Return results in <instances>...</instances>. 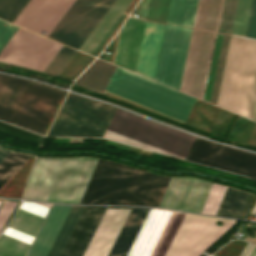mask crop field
<instances>
[{
	"mask_svg": "<svg viewBox=\"0 0 256 256\" xmlns=\"http://www.w3.org/2000/svg\"><path fill=\"white\" fill-rule=\"evenodd\" d=\"M246 37L256 38V0L253 1Z\"/></svg>",
	"mask_w": 256,
	"mask_h": 256,
	"instance_id": "c21b1889",
	"label": "crop field"
},
{
	"mask_svg": "<svg viewBox=\"0 0 256 256\" xmlns=\"http://www.w3.org/2000/svg\"><path fill=\"white\" fill-rule=\"evenodd\" d=\"M183 215L150 209L127 256H163Z\"/></svg>",
	"mask_w": 256,
	"mask_h": 256,
	"instance_id": "28ad6ade",
	"label": "crop field"
},
{
	"mask_svg": "<svg viewBox=\"0 0 256 256\" xmlns=\"http://www.w3.org/2000/svg\"><path fill=\"white\" fill-rule=\"evenodd\" d=\"M106 209L107 207L84 206L60 256H83ZM129 212L130 210L107 209L84 256H108Z\"/></svg>",
	"mask_w": 256,
	"mask_h": 256,
	"instance_id": "f4fd0767",
	"label": "crop field"
},
{
	"mask_svg": "<svg viewBox=\"0 0 256 256\" xmlns=\"http://www.w3.org/2000/svg\"><path fill=\"white\" fill-rule=\"evenodd\" d=\"M165 24L146 21L136 72L153 80Z\"/></svg>",
	"mask_w": 256,
	"mask_h": 256,
	"instance_id": "214f88e0",
	"label": "crop field"
},
{
	"mask_svg": "<svg viewBox=\"0 0 256 256\" xmlns=\"http://www.w3.org/2000/svg\"><path fill=\"white\" fill-rule=\"evenodd\" d=\"M83 206H72L48 256H58L64 246Z\"/></svg>",
	"mask_w": 256,
	"mask_h": 256,
	"instance_id": "bd1437ed",
	"label": "crop field"
},
{
	"mask_svg": "<svg viewBox=\"0 0 256 256\" xmlns=\"http://www.w3.org/2000/svg\"><path fill=\"white\" fill-rule=\"evenodd\" d=\"M223 0H199L193 27L218 30Z\"/></svg>",
	"mask_w": 256,
	"mask_h": 256,
	"instance_id": "eef30255",
	"label": "crop field"
},
{
	"mask_svg": "<svg viewBox=\"0 0 256 256\" xmlns=\"http://www.w3.org/2000/svg\"><path fill=\"white\" fill-rule=\"evenodd\" d=\"M198 0H171L166 22L192 27Z\"/></svg>",
	"mask_w": 256,
	"mask_h": 256,
	"instance_id": "ae1a2a85",
	"label": "crop field"
},
{
	"mask_svg": "<svg viewBox=\"0 0 256 256\" xmlns=\"http://www.w3.org/2000/svg\"><path fill=\"white\" fill-rule=\"evenodd\" d=\"M52 204L22 201L0 236V256H26Z\"/></svg>",
	"mask_w": 256,
	"mask_h": 256,
	"instance_id": "3316defc",
	"label": "crop field"
},
{
	"mask_svg": "<svg viewBox=\"0 0 256 256\" xmlns=\"http://www.w3.org/2000/svg\"><path fill=\"white\" fill-rule=\"evenodd\" d=\"M170 0H151L147 19L165 22Z\"/></svg>",
	"mask_w": 256,
	"mask_h": 256,
	"instance_id": "b80d0937",
	"label": "crop field"
},
{
	"mask_svg": "<svg viewBox=\"0 0 256 256\" xmlns=\"http://www.w3.org/2000/svg\"><path fill=\"white\" fill-rule=\"evenodd\" d=\"M115 111L69 93L47 136L103 137Z\"/></svg>",
	"mask_w": 256,
	"mask_h": 256,
	"instance_id": "e52e79f7",
	"label": "crop field"
},
{
	"mask_svg": "<svg viewBox=\"0 0 256 256\" xmlns=\"http://www.w3.org/2000/svg\"><path fill=\"white\" fill-rule=\"evenodd\" d=\"M30 0H0V18L11 23ZM75 0H31L14 24L40 34L49 33ZM98 0H76L52 32L46 35L62 44Z\"/></svg>",
	"mask_w": 256,
	"mask_h": 256,
	"instance_id": "ac0d7876",
	"label": "crop field"
},
{
	"mask_svg": "<svg viewBox=\"0 0 256 256\" xmlns=\"http://www.w3.org/2000/svg\"><path fill=\"white\" fill-rule=\"evenodd\" d=\"M222 37H223V35L217 34L215 45H214L209 74H208L206 88H205L204 97H203V99L208 102L210 100V95H211L212 85H213V81H214L219 51H220L221 42H222Z\"/></svg>",
	"mask_w": 256,
	"mask_h": 256,
	"instance_id": "e1f06a70",
	"label": "crop field"
},
{
	"mask_svg": "<svg viewBox=\"0 0 256 256\" xmlns=\"http://www.w3.org/2000/svg\"><path fill=\"white\" fill-rule=\"evenodd\" d=\"M212 185L195 178H172L159 207L200 213Z\"/></svg>",
	"mask_w": 256,
	"mask_h": 256,
	"instance_id": "733c2abd",
	"label": "crop field"
},
{
	"mask_svg": "<svg viewBox=\"0 0 256 256\" xmlns=\"http://www.w3.org/2000/svg\"><path fill=\"white\" fill-rule=\"evenodd\" d=\"M238 0H224L218 32L231 34Z\"/></svg>",
	"mask_w": 256,
	"mask_h": 256,
	"instance_id": "120bbe31",
	"label": "crop field"
},
{
	"mask_svg": "<svg viewBox=\"0 0 256 256\" xmlns=\"http://www.w3.org/2000/svg\"><path fill=\"white\" fill-rule=\"evenodd\" d=\"M249 195L228 188L216 215L239 218Z\"/></svg>",
	"mask_w": 256,
	"mask_h": 256,
	"instance_id": "d3111659",
	"label": "crop field"
},
{
	"mask_svg": "<svg viewBox=\"0 0 256 256\" xmlns=\"http://www.w3.org/2000/svg\"><path fill=\"white\" fill-rule=\"evenodd\" d=\"M97 160L64 159L46 201L79 203Z\"/></svg>",
	"mask_w": 256,
	"mask_h": 256,
	"instance_id": "5142ce71",
	"label": "crop field"
},
{
	"mask_svg": "<svg viewBox=\"0 0 256 256\" xmlns=\"http://www.w3.org/2000/svg\"><path fill=\"white\" fill-rule=\"evenodd\" d=\"M104 138L184 159L195 137L117 109Z\"/></svg>",
	"mask_w": 256,
	"mask_h": 256,
	"instance_id": "412701ff",
	"label": "crop field"
},
{
	"mask_svg": "<svg viewBox=\"0 0 256 256\" xmlns=\"http://www.w3.org/2000/svg\"><path fill=\"white\" fill-rule=\"evenodd\" d=\"M256 87V41L231 36L218 106L249 118Z\"/></svg>",
	"mask_w": 256,
	"mask_h": 256,
	"instance_id": "34b2d1b8",
	"label": "crop field"
},
{
	"mask_svg": "<svg viewBox=\"0 0 256 256\" xmlns=\"http://www.w3.org/2000/svg\"><path fill=\"white\" fill-rule=\"evenodd\" d=\"M106 91L185 121L194 98L116 68Z\"/></svg>",
	"mask_w": 256,
	"mask_h": 256,
	"instance_id": "dd49c442",
	"label": "crop field"
},
{
	"mask_svg": "<svg viewBox=\"0 0 256 256\" xmlns=\"http://www.w3.org/2000/svg\"><path fill=\"white\" fill-rule=\"evenodd\" d=\"M30 158V156L11 152L0 163V189Z\"/></svg>",
	"mask_w": 256,
	"mask_h": 256,
	"instance_id": "750c4746",
	"label": "crop field"
},
{
	"mask_svg": "<svg viewBox=\"0 0 256 256\" xmlns=\"http://www.w3.org/2000/svg\"><path fill=\"white\" fill-rule=\"evenodd\" d=\"M10 153V151H6L0 148V162Z\"/></svg>",
	"mask_w": 256,
	"mask_h": 256,
	"instance_id": "5d738f31",
	"label": "crop field"
},
{
	"mask_svg": "<svg viewBox=\"0 0 256 256\" xmlns=\"http://www.w3.org/2000/svg\"><path fill=\"white\" fill-rule=\"evenodd\" d=\"M217 220L224 224L215 225ZM229 221L186 213L165 256H192Z\"/></svg>",
	"mask_w": 256,
	"mask_h": 256,
	"instance_id": "d9b57169",
	"label": "crop field"
},
{
	"mask_svg": "<svg viewBox=\"0 0 256 256\" xmlns=\"http://www.w3.org/2000/svg\"><path fill=\"white\" fill-rule=\"evenodd\" d=\"M114 2L115 0H99L66 41L65 45L79 49Z\"/></svg>",
	"mask_w": 256,
	"mask_h": 256,
	"instance_id": "4177f3b9",
	"label": "crop field"
},
{
	"mask_svg": "<svg viewBox=\"0 0 256 256\" xmlns=\"http://www.w3.org/2000/svg\"><path fill=\"white\" fill-rule=\"evenodd\" d=\"M28 80L0 74V119L8 122Z\"/></svg>",
	"mask_w": 256,
	"mask_h": 256,
	"instance_id": "a9b5d70f",
	"label": "crop field"
},
{
	"mask_svg": "<svg viewBox=\"0 0 256 256\" xmlns=\"http://www.w3.org/2000/svg\"><path fill=\"white\" fill-rule=\"evenodd\" d=\"M18 27L0 21V51ZM62 44L41 37L21 28L0 52V61H5L43 71Z\"/></svg>",
	"mask_w": 256,
	"mask_h": 256,
	"instance_id": "d8731c3e",
	"label": "crop field"
},
{
	"mask_svg": "<svg viewBox=\"0 0 256 256\" xmlns=\"http://www.w3.org/2000/svg\"><path fill=\"white\" fill-rule=\"evenodd\" d=\"M149 209L132 208L109 256H126Z\"/></svg>",
	"mask_w": 256,
	"mask_h": 256,
	"instance_id": "00972430",
	"label": "crop field"
},
{
	"mask_svg": "<svg viewBox=\"0 0 256 256\" xmlns=\"http://www.w3.org/2000/svg\"><path fill=\"white\" fill-rule=\"evenodd\" d=\"M229 38H230V36L224 35L221 52H220V56H219L213 91H212L211 100H210V102L215 105L217 103V98H218V93H219V88H220V83H221V78H222V73H223V68H224L228 43H229Z\"/></svg>",
	"mask_w": 256,
	"mask_h": 256,
	"instance_id": "5866460e",
	"label": "crop field"
},
{
	"mask_svg": "<svg viewBox=\"0 0 256 256\" xmlns=\"http://www.w3.org/2000/svg\"><path fill=\"white\" fill-rule=\"evenodd\" d=\"M149 1L150 0H141V2L135 8V10L131 14V16L134 17L135 15H139L141 18L146 19L147 12H148Z\"/></svg>",
	"mask_w": 256,
	"mask_h": 256,
	"instance_id": "03da06ac",
	"label": "crop field"
},
{
	"mask_svg": "<svg viewBox=\"0 0 256 256\" xmlns=\"http://www.w3.org/2000/svg\"><path fill=\"white\" fill-rule=\"evenodd\" d=\"M226 189L214 184L201 213L215 215Z\"/></svg>",
	"mask_w": 256,
	"mask_h": 256,
	"instance_id": "0bd39190",
	"label": "crop field"
},
{
	"mask_svg": "<svg viewBox=\"0 0 256 256\" xmlns=\"http://www.w3.org/2000/svg\"><path fill=\"white\" fill-rule=\"evenodd\" d=\"M0 204H1V202H0Z\"/></svg>",
	"mask_w": 256,
	"mask_h": 256,
	"instance_id": "25e5ab78",
	"label": "crop field"
},
{
	"mask_svg": "<svg viewBox=\"0 0 256 256\" xmlns=\"http://www.w3.org/2000/svg\"><path fill=\"white\" fill-rule=\"evenodd\" d=\"M4 201V200H3ZM20 202V201H19ZM18 202V204H19ZM3 203V202H2ZM17 202H11V201H4L3 205L0 208V231L3 228L4 224L6 223L8 217L10 216L11 212L13 211L14 207L16 206ZM17 204V206H18ZM17 206L15 207L14 211L12 212L11 216L9 217L8 221L14 214ZM7 221V222H8ZM7 224V223H6ZM5 224V225H6ZM5 227V226H4ZM3 230V229H2Z\"/></svg>",
	"mask_w": 256,
	"mask_h": 256,
	"instance_id": "c035e120",
	"label": "crop field"
},
{
	"mask_svg": "<svg viewBox=\"0 0 256 256\" xmlns=\"http://www.w3.org/2000/svg\"><path fill=\"white\" fill-rule=\"evenodd\" d=\"M114 69L115 66L97 59L75 83L102 94Z\"/></svg>",
	"mask_w": 256,
	"mask_h": 256,
	"instance_id": "730fd06b",
	"label": "crop field"
},
{
	"mask_svg": "<svg viewBox=\"0 0 256 256\" xmlns=\"http://www.w3.org/2000/svg\"><path fill=\"white\" fill-rule=\"evenodd\" d=\"M116 148H119V149H123V150L128 151L129 146H126V145H123V144L118 143L117 146H116Z\"/></svg>",
	"mask_w": 256,
	"mask_h": 256,
	"instance_id": "d23c7cc5",
	"label": "crop field"
},
{
	"mask_svg": "<svg viewBox=\"0 0 256 256\" xmlns=\"http://www.w3.org/2000/svg\"><path fill=\"white\" fill-rule=\"evenodd\" d=\"M250 256H256V246Z\"/></svg>",
	"mask_w": 256,
	"mask_h": 256,
	"instance_id": "425ffa30",
	"label": "crop field"
},
{
	"mask_svg": "<svg viewBox=\"0 0 256 256\" xmlns=\"http://www.w3.org/2000/svg\"><path fill=\"white\" fill-rule=\"evenodd\" d=\"M191 31L166 24L155 81L179 90Z\"/></svg>",
	"mask_w": 256,
	"mask_h": 256,
	"instance_id": "d1516ede",
	"label": "crop field"
},
{
	"mask_svg": "<svg viewBox=\"0 0 256 256\" xmlns=\"http://www.w3.org/2000/svg\"><path fill=\"white\" fill-rule=\"evenodd\" d=\"M0 132L22 139L24 141L40 145L43 136L0 122Z\"/></svg>",
	"mask_w": 256,
	"mask_h": 256,
	"instance_id": "028f5c9d",
	"label": "crop field"
},
{
	"mask_svg": "<svg viewBox=\"0 0 256 256\" xmlns=\"http://www.w3.org/2000/svg\"><path fill=\"white\" fill-rule=\"evenodd\" d=\"M75 52L76 50L63 45L52 61L45 68L44 72L58 75L71 57L75 54Z\"/></svg>",
	"mask_w": 256,
	"mask_h": 256,
	"instance_id": "d32e631a",
	"label": "crop field"
},
{
	"mask_svg": "<svg viewBox=\"0 0 256 256\" xmlns=\"http://www.w3.org/2000/svg\"><path fill=\"white\" fill-rule=\"evenodd\" d=\"M170 179L99 159L80 203L158 207Z\"/></svg>",
	"mask_w": 256,
	"mask_h": 256,
	"instance_id": "8a807250",
	"label": "crop field"
},
{
	"mask_svg": "<svg viewBox=\"0 0 256 256\" xmlns=\"http://www.w3.org/2000/svg\"><path fill=\"white\" fill-rule=\"evenodd\" d=\"M186 160L256 178V155L195 138Z\"/></svg>",
	"mask_w": 256,
	"mask_h": 256,
	"instance_id": "22f410ed",
	"label": "crop field"
},
{
	"mask_svg": "<svg viewBox=\"0 0 256 256\" xmlns=\"http://www.w3.org/2000/svg\"><path fill=\"white\" fill-rule=\"evenodd\" d=\"M71 206L53 204L27 256H47Z\"/></svg>",
	"mask_w": 256,
	"mask_h": 256,
	"instance_id": "dafd665d",
	"label": "crop field"
},
{
	"mask_svg": "<svg viewBox=\"0 0 256 256\" xmlns=\"http://www.w3.org/2000/svg\"><path fill=\"white\" fill-rule=\"evenodd\" d=\"M132 0H117L95 30L81 46L80 50L95 56L108 37L124 18V10Z\"/></svg>",
	"mask_w": 256,
	"mask_h": 256,
	"instance_id": "92a150f3",
	"label": "crop field"
},
{
	"mask_svg": "<svg viewBox=\"0 0 256 256\" xmlns=\"http://www.w3.org/2000/svg\"><path fill=\"white\" fill-rule=\"evenodd\" d=\"M250 118L256 121V92H255V97H254V102H253Z\"/></svg>",
	"mask_w": 256,
	"mask_h": 256,
	"instance_id": "b54c1fbb",
	"label": "crop field"
},
{
	"mask_svg": "<svg viewBox=\"0 0 256 256\" xmlns=\"http://www.w3.org/2000/svg\"><path fill=\"white\" fill-rule=\"evenodd\" d=\"M62 160L37 158L23 198L45 201Z\"/></svg>",
	"mask_w": 256,
	"mask_h": 256,
	"instance_id": "bc2a9ffb",
	"label": "crop field"
},
{
	"mask_svg": "<svg viewBox=\"0 0 256 256\" xmlns=\"http://www.w3.org/2000/svg\"><path fill=\"white\" fill-rule=\"evenodd\" d=\"M63 90L29 80L9 123L43 134Z\"/></svg>",
	"mask_w": 256,
	"mask_h": 256,
	"instance_id": "5a996713",
	"label": "crop field"
},
{
	"mask_svg": "<svg viewBox=\"0 0 256 256\" xmlns=\"http://www.w3.org/2000/svg\"><path fill=\"white\" fill-rule=\"evenodd\" d=\"M145 21L128 18L121 28L118 38L115 65L136 70L138 54Z\"/></svg>",
	"mask_w": 256,
	"mask_h": 256,
	"instance_id": "4a817a6b",
	"label": "crop field"
},
{
	"mask_svg": "<svg viewBox=\"0 0 256 256\" xmlns=\"http://www.w3.org/2000/svg\"><path fill=\"white\" fill-rule=\"evenodd\" d=\"M253 0H239L232 34L245 37Z\"/></svg>",
	"mask_w": 256,
	"mask_h": 256,
	"instance_id": "1d83c4d3",
	"label": "crop field"
},
{
	"mask_svg": "<svg viewBox=\"0 0 256 256\" xmlns=\"http://www.w3.org/2000/svg\"><path fill=\"white\" fill-rule=\"evenodd\" d=\"M216 34L193 29L180 90L202 99Z\"/></svg>",
	"mask_w": 256,
	"mask_h": 256,
	"instance_id": "cbeb9de0",
	"label": "crop field"
}]
</instances>
